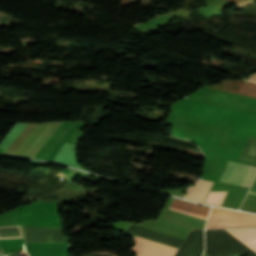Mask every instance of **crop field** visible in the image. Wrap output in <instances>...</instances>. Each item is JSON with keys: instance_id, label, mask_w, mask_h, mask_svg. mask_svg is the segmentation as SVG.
<instances>
[{"instance_id": "1", "label": "crop field", "mask_w": 256, "mask_h": 256, "mask_svg": "<svg viewBox=\"0 0 256 256\" xmlns=\"http://www.w3.org/2000/svg\"><path fill=\"white\" fill-rule=\"evenodd\" d=\"M255 174L256 167L228 161L219 181L249 188Z\"/></svg>"}, {"instance_id": "2", "label": "crop field", "mask_w": 256, "mask_h": 256, "mask_svg": "<svg viewBox=\"0 0 256 256\" xmlns=\"http://www.w3.org/2000/svg\"><path fill=\"white\" fill-rule=\"evenodd\" d=\"M136 243L130 250L135 256H173L177 248L136 237Z\"/></svg>"}, {"instance_id": "10", "label": "crop field", "mask_w": 256, "mask_h": 256, "mask_svg": "<svg viewBox=\"0 0 256 256\" xmlns=\"http://www.w3.org/2000/svg\"><path fill=\"white\" fill-rule=\"evenodd\" d=\"M230 1H240V0H230Z\"/></svg>"}, {"instance_id": "6", "label": "crop field", "mask_w": 256, "mask_h": 256, "mask_svg": "<svg viewBox=\"0 0 256 256\" xmlns=\"http://www.w3.org/2000/svg\"><path fill=\"white\" fill-rule=\"evenodd\" d=\"M256 252V229L226 230Z\"/></svg>"}, {"instance_id": "4", "label": "crop field", "mask_w": 256, "mask_h": 256, "mask_svg": "<svg viewBox=\"0 0 256 256\" xmlns=\"http://www.w3.org/2000/svg\"><path fill=\"white\" fill-rule=\"evenodd\" d=\"M170 209L206 220L210 208L191 204L179 199H174L173 203L170 206Z\"/></svg>"}, {"instance_id": "8", "label": "crop field", "mask_w": 256, "mask_h": 256, "mask_svg": "<svg viewBox=\"0 0 256 256\" xmlns=\"http://www.w3.org/2000/svg\"><path fill=\"white\" fill-rule=\"evenodd\" d=\"M250 190L256 192V178H255V180H254V182H253V184H252ZM251 191H249L248 194H250V195H255V196H256V193H255V192H251Z\"/></svg>"}, {"instance_id": "3", "label": "crop field", "mask_w": 256, "mask_h": 256, "mask_svg": "<svg viewBox=\"0 0 256 256\" xmlns=\"http://www.w3.org/2000/svg\"><path fill=\"white\" fill-rule=\"evenodd\" d=\"M210 88L239 93L256 98V84L244 82L242 80L234 81L225 79L213 86H210Z\"/></svg>"}, {"instance_id": "7", "label": "crop field", "mask_w": 256, "mask_h": 256, "mask_svg": "<svg viewBox=\"0 0 256 256\" xmlns=\"http://www.w3.org/2000/svg\"><path fill=\"white\" fill-rule=\"evenodd\" d=\"M238 160L256 164V137H249Z\"/></svg>"}, {"instance_id": "5", "label": "crop field", "mask_w": 256, "mask_h": 256, "mask_svg": "<svg viewBox=\"0 0 256 256\" xmlns=\"http://www.w3.org/2000/svg\"><path fill=\"white\" fill-rule=\"evenodd\" d=\"M213 182L201 180L196 181L186 192L185 198L203 203Z\"/></svg>"}, {"instance_id": "9", "label": "crop field", "mask_w": 256, "mask_h": 256, "mask_svg": "<svg viewBox=\"0 0 256 256\" xmlns=\"http://www.w3.org/2000/svg\"><path fill=\"white\" fill-rule=\"evenodd\" d=\"M249 81L256 82V73L252 75V77L249 79Z\"/></svg>"}]
</instances>
